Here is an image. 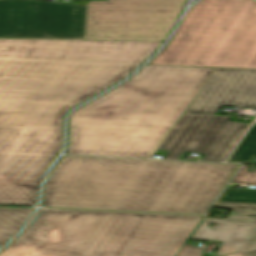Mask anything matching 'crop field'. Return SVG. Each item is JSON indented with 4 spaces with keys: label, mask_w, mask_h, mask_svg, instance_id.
<instances>
[{
    "label": "crop field",
    "mask_w": 256,
    "mask_h": 256,
    "mask_svg": "<svg viewBox=\"0 0 256 256\" xmlns=\"http://www.w3.org/2000/svg\"><path fill=\"white\" fill-rule=\"evenodd\" d=\"M163 42L0 39V204L36 206L62 149V117L117 83Z\"/></svg>",
    "instance_id": "1"
},
{
    "label": "crop field",
    "mask_w": 256,
    "mask_h": 256,
    "mask_svg": "<svg viewBox=\"0 0 256 256\" xmlns=\"http://www.w3.org/2000/svg\"><path fill=\"white\" fill-rule=\"evenodd\" d=\"M240 165L64 156L42 207L206 214Z\"/></svg>",
    "instance_id": "2"
},
{
    "label": "crop field",
    "mask_w": 256,
    "mask_h": 256,
    "mask_svg": "<svg viewBox=\"0 0 256 256\" xmlns=\"http://www.w3.org/2000/svg\"><path fill=\"white\" fill-rule=\"evenodd\" d=\"M213 68L146 65L70 117L66 154L166 155L158 150Z\"/></svg>",
    "instance_id": "3"
},
{
    "label": "crop field",
    "mask_w": 256,
    "mask_h": 256,
    "mask_svg": "<svg viewBox=\"0 0 256 256\" xmlns=\"http://www.w3.org/2000/svg\"><path fill=\"white\" fill-rule=\"evenodd\" d=\"M202 218L41 209L0 256H175Z\"/></svg>",
    "instance_id": "4"
},
{
    "label": "crop field",
    "mask_w": 256,
    "mask_h": 256,
    "mask_svg": "<svg viewBox=\"0 0 256 256\" xmlns=\"http://www.w3.org/2000/svg\"><path fill=\"white\" fill-rule=\"evenodd\" d=\"M148 64L256 68V2L200 1Z\"/></svg>",
    "instance_id": "5"
},
{
    "label": "crop field",
    "mask_w": 256,
    "mask_h": 256,
    "mask_svg": "<svg viewBox=\"0 0 256 256\" xmlns=\"http://www.w3.org/2000/svg\"><path fill=\"white\" fill-rule=\"evenodd\" d=\"M185 2L89 1L85 39L166 41Z\"/></svg>",
    "instance_id": "6"
},
{
    "label": "crop field",
    "mask_w": 256,
    "mask_h": 256,
    "mask_svg": "<svg viewBox=\"0 0 256 256\" xmlns=\"http://www.w3.org/2000/svg\"><path fill=\"white\" fill-rule=\"evenodd\" d=\"M87 6L0 0V38L84 39Z\"/></svg>",
    "instance_id": "7"
},
{
    "label": "crop field",
    "mask_w": 256,
    "mask_h": 256,
    "mask_svg": "<svg viewBox=\"0 0 256 256\" xmlns=\"http://www.w3.org/2000/svg\"><path fill=\"white\" fill-rule=\"evenodd\" d=\"M229 116L184 113L161 150L165 159H179L184 151L206 154L202 160L222 162L250 124L228 122Z\"/></svg>",
    "instance_id": "8"
},
{
    "label": "crop field",
    "mask_w": 256,
    "mask_h": 256,
    "mask_svg": "<svg viewBox=\"0 0 256 256\" xmlns=\"http://www.w3.org/2000/svg\"><path fill=\"white\" fill-rule=\"evenodd\" d=\"M219 106L256 108V70L214 68L186 112L215 114Z\"/></svg>",
    "instance_id": "9"
},
{
    "label": "crop field",
    "mask_w": 256,
    "mask_h": 256,
    "mask_svg": "<svg viewBox=\"0 0 256 256\" xmlns=\"http://www.w3.org/2000/svg\"><path fill=\"white\" fill-rule=\"evenodd\" d=\"M210 223H218L215 230L210 229ZM256 224L204 221L193 239L224 241L218 256L237 252L246 237Z\"/></svg>",
    "instance_id": "10"
},
{
    "label": "crop field",
    "mask_w": 256,
    "mask_h": 256,
    "mask_svg": "<svg viewBox=\"0 0 256 256\" xmlns=\"http://www.w3.org/2000/svg\"><path fill=\"white\" fill-rule=\"evenodd\" d=\"M34 210L0 207V247L27 223Z\"/></svg>",
    "instance_id": "11"
},
{
    "label": "crop field",
    "mask_w": 256,
    "mask_h": 256,
    "mask_svg": "<svg viewBox=\"0 0 256 256\" xmlns=\"http://www.w3.org/2000/svg\"><path fill=\"white\" fill-rule=\"evenodd\" d=\"M215 206L233 209L230 215L256 216V204L216 202ZM225 256H256V227L237 253Z\"/></svg>",
    "instance_id": "12"
},
{
    "label": "crop field",
    "mask_w": 256,
    "mask_h": 256,
    "mask_svg": "<svg viewBox=\"0 0 256 256\" xmlns=\"http://www.w3.org/2000/svg\"><path fill=\"white\" fill-rule=\"evenodd\" d=\"M256 154V125H253L228 162L250 163Z\"/></svg>",
    "instance_id": "13"
},
{
    "label": "crop field",
    "mask_w": 256,
    "mask_h": 256,
    "mask_svg": "<svg viewBox=\"0 0 256 256\" xmlns=\"http://www.w3.org/2000/svg\"><path fill=\"white\" fill-rule=\"evenodd\" d=\"M229 185L218 201L256 203V190L246 188L245 190L232 188Z\"/></svg>",
    "instance_id": "14"
},
{
    "label": "crop field",
    "mask_w": 256,
    "mask_h": 256,
    "mask_svg": "<svg viewBox=\"0 0 256 256\" xmlns=\"http://www.w3.org/2000/svg\"><path fill=\"white\" fill-rule=\"evenodd\" d=\"M249 166H242L238 174L233 179V183H247V184H256V172L251 173L247 172Z\"/></svg>",
    "instance_id": "15"
},
{
    "label": "crop field",
    "mask_w": 256,
    "mask_h": 256,
    "mask_svg": "<svg viewBox=\"0 0 256 256\" xmlns=\"http://www.w3.org/2000/svg\"><path fill=\"white\" fill-rule=\"evenodd\" d=\"M208 245L197 247L194 245L184 244L179 253L176 256H202Z\"/></svg>",
    "instance_id": "16"
},
{
    "label": "crop field",
    "mask_w": 256,
    "mask_h": 256,
    "mask_svg": "<svg viewBox=\"0 0 256 256\" xmlns=\"http://www.w3.org/2000/svg\"><path fill=\"white\" fill-rule=\"evenodd\" d=\"M205 220L256 223V218H244V217H227L226 220H216V219H205Z\"/></svg>",
    "instance_id": "17"
}]
</instances>
